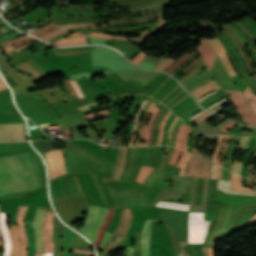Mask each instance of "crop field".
Listing matches in <instances>:
<instances>
[{
    "instance_id": "obj_1",
    "label": "crop field",
    "mask_w": 256,
    "mask_h": 256,
    "mask_svg": "<svg viewBox=\"0 0 256 256\" xmlns=\"http://www.w3.org/2000/svg\"><path fill=\"white\" fill-rule=\"evenodd\" d=\"M29 191L46 185L45 167L34 150L16 155ZM18 192L28 191L14 155L5 157ZM4 157H0V196L17 193Z\"/></svg>"
},
{
    "instance_id": "obj_2",
    "label": "crop field",
    "mask_w": 256,
    "mask_h": 256,
    "mask_svg": "<svg viewBox=\"0 0 256 256\" xmlns=\"http://www.w3.org/2000/svg\"><path fill=\"white\" fill-rule=\"evenodd\" d=\"M231 95V100L237 111L240 113L245 122L249 125H256V116L253 114L248 101L241 91H225Z\"/></svg>"
},
{
    "instance_id": "obj_3",
    "label": "crop field",
    "mask_w": 256,
    "mask_h": 256,
    "mask_svg": "<svg viewBox=\"0 0 256 256\" xmlns=\"http://www.w3.org/2000/svg\"><path fill=\"white\" fill-rule=\"evenodd\" d=\"M27 140L24 123L0 125V141Z\"/></svg>"
},
{
    "instance_id": "obj_4",
    "label": "crop field",
    "mask_w": 256,
    "mask_h": 256,
    "mask_svg": "<svg viewBox=\"0 0 256 256\" xmlns=\"http://www.w3.org/2000/svg\"><path fill=\"white\" fill-rule=\"evenodd\" d=\"M45 155L47 158L51 179L57 175L66 173L60 150L50 151Z\"/></svg>"
},
{
    "instance_id": "obj_5",
    "label": "crop field",
    "mask_w": 256,
    "mask_h": 256,
    "mask_svg": "<svg viewBox=\"0 0 256 256\" xmlns=\"http://www.w3.org/2000/svg\"><path fill=\"white\" fill-rule=\"evenodd\" d=\"M45 212V210L38 208L33 220V229L36 237V251L40 252H43L42 226Z\"/></svg>"
},
{
    "instance_id": "obj_6",
    "label": "crop field",
    "mask_w": 256,
    "mask_h": 256,
    "mask_svg": "<svg viewBox=\"0 0 256 256\" xmlns=\"http://www.w3.org/2000/svg\"><path fill=\"white\" fill-rule=\"evenodd\" d=\"M27 207L20 206L17 214V228H18V235L20 240V255L19 256H25L26 250H27V238L25 235L23 220L24 215Z\"/></svg>"
},
{
    "instance_id": "obj_7",
    "label": "crop field",
    "mask_w": 256,
    "mask_h": 256,
    "mask_svg": "<svg viewBox=\"0 0 256 256\" xmlns=\"http://www.w3.org/2000/svg\"><path fill=\"white\" fill-rule=\"evenodd\" d=\"M208 40L211 42L214 50L219 55L220 60H221L222 64L225 66L230 78L236 76V73H235V71H234V69H233V67H232V65H231V63H230V61H229V59L226 55V50L222 46L223 44L221 45L220 41L217 38H215L213 40H210V39H208Z\"/></svg>"
},
{
    "instance_id": "obj_8",
    "label": "crop field",
    "mask_w": 256,
    "mask_h": 256,
    "mask_svg": "<svg viewBox=\"0 0 256 256\" xmlns=\"http://www.w3.org/2000/svg\"><path fill=\"white\" fill-rule=\"evenodd\" d=\"M53 213L47 211L44 226H43V233H44V244H45V251L53 252V243H52V226H53Z\"/></svg>"
},
{
    "instance_id": "obj_9",
    "label": "crop field",
    "mask_w": 256,
    "mask_h": 256,
    "mask_svg": "<svg viewBox=\"0 0 256 256\" xmlns=\"http://www.w3.org/2000/svg\"><path fill=\"white\" fill-rule=\"evenodd\" d=\"M201 58L206 63L209 69H211L214 57L217 55L213 50L209 41L204 38L202 44L197 48Z\"/></svg>"
},
{
    "instance_id": "obj_10",
    "label": "crop field",
    "mask_w": 256,
    "mask_h": 256,
    "mask_svg": "<svg viewBox=\"0 0 256 256\" xmlns=\"http://www.w3.org/2000/svg\"><path fill=\"white\" fill-rule=\"evenodd\" d=\"M163 221V220H159ZM152 220H147L141 236L142 256H149V243L151 235Z\"/></svg>"
},
{
    "instance_id": "obj_11",
    "label": "crop field",
    "mask_w": 256,
    "mask_h": 256,
    "mask_svg": "<svg viewBox=\"0 0 256 256\" xmlns=\"http://www.w3.org/2000/svg\"><path fill=\"white\" fill-rule=\"evenodd\" d=\"M99 205H90L86 219L80 228V232L83 233L87 238L89 237L90 228L93 224L95 215L97 213Z\"/></svg>"
},
{
    "instance_id": "obj_12",
    "label": "crop field",
    "mask_w": 256,
    "mask_h": 256,
    "mask_svg": "<svg viewBox=\"0 0 256 256\" xmlns=\"http://www.w3.org/2000/svg\"><path fill=\"white\" fill-rule=\"evenodd\" d=\"M216 89H222V88L220 87V85L218 83H216L213 80V81H211V82H209V83H207L203 86H200V87H198V88H196V89H194L190 92L194 95V97L197 100V99L205 96L206 94H208V93H210V92H212Z\"/></svg>"
},
{
    "instance_id": "obj_13",
    "label": "crop field",
    "mask_w": 256,
    "mask_h": 256,
    "mask_svg": "<svg viewBox=\"0 0 256 256\" xmlns=\"http://www.w3.org/2000/svg\"><path fill=\"white\" fill-rule=\"evenodd\" d=\"M7 216L8 214L0 212V229L2 232V237L5 242V251L3 256H10V252H11V241L9 239L8 231L5 225V217Z\"/></svg>"
},
{
    "instance_id": "obj_14",
    "label": "crop field",
    "mask_w": 256,
    "mask_h": 256,
    "mask_svg": "<svg viewBox=\"0 0 256 256\" xmlns=\"http://www.w3.org/2000/svg\"><path fill=\"white\" fill-rule=\"evenodd\" d=\"M107 211H108V209L101 208V207L98 210L97 216L95 218V221L92 226L91 233H90V240L92 241V243H94V241H95L96 233L99 229V226L102 224Z\"/></svg>"
},
{
    "instance_id": "obj_15",
    "label": "crop field",
    "mask_w": 256,
    "mask_h": 256,
    "mask_svg": "<svg viewBox=\"0 0 256 256\" xmlns=\"http://www.w3.org/2000/svg\"><path fill=\"white\" fill-rule=\"evenodd\" d=\"M114 211H115V209H110L109 210V212H108V214H107L103 224L100 227V230H99V232L97 234V238H96V241H95V247L96 248H98L99 243H100V241H101V239H102V237L104 235V232H105L106 228L109 226V224L111 222V219H112V217L114 215Z\"/></svg>"
},
{
    "instance_id": "obj_16",
    "label": "crop field",
    "mask_w": 256,
    "mask_h": 256,
    "mask_svg": "<svg viewBox=\"0 0 256 256\" xmlns=\"http://www.w3.org/2000/svg\"><path fill=\"white\" fill-rule=\"evenodd\" d=\"M26 231L29 237L28 240V256L35 255V237L32 230V224L25 220Z\"/></svg>"
},
{
    "instance_id": "obj_17",
    "label": "crop field",
    "mask_w": 256,
    "mask_h": 256,
    "mask_svg": "<svg viewBox=\"0 0 256 256\" xmlns=\"http://www.w3.org/2000/svg\"><path fill=\"white\" fill-rule=\"evenodd\" d=\"M53 44L62 45V46L85 45L87 44V41H86V36H81V37L71 38V39L61 38L60 40H58Z\"/></svg>"
},
{
    "instance_id": "obj_18",
    "label": "crop field",
    "mask_w": 256,
    "mask_h": 256,
    "mask_svg": "<svg viewBox=\"0 0 256 256\" xmlns=\"http://www.w3.org/2000/svg\"><path fill=\"white\" fill-rule=\"evenodd\" d=\"M195 52H193L191 54L182 55L177 60H175L169 67H167L165 69V71L172 74L176 69H178L182 64H184L188 59H190Z\"/></svg>"
},
{
    "instance_id": "obj_19",
    "label": "crop field",
    "mask_w": 256,
    "mask_h": 256,
    "mask_svg": "<svg viewBox=\"0 0 256 256\" xmlns=\"http://www.w3.org/2000/svg\"><path fill=\"white\" fill-rule=\"evenodd\" d=\"M242 177H238L234 174H232L231 180H232V190L235 191H241V192H249V193H256V191H253L249 188L242 187Z\"/></svg>"
},
{
    "instance_id": "obj_20",
    "label": "crop field",
    "mask_w": 256,
    "mask_h": 256,
    "mask_svg": "<svg viewBox=\"0 0 256 256\" xmlns=\"http://www.w3.org/2000/svg\"><path fill=\"white\" fill-rule=\"evenodd\" d=\"M9 235H10V239H11L12 245H13L12 256H18L19 255V241H18L16 226H11V228H9Z\"/></svg>"
},
{
    "instance_id": "obj_21",
    "label": "crop field",
    "mask_w": 256,
    "mask_h": 256,
    "mask_svg": "<svg viewBox=\"0 0 256 256\" xmlns=\"http://www.w3.org/2000/svg\"><path fill=\"white\" fill-rule=\"evenodd\" d=\"M81 25H95V24H75V25H61V26H58L59 29H60V32L58 34H56L55 36L45 40V41H50L52 40L53 38L65 33V32H68V28H80V27H89V26H81ZM103 27H108L107 25H101L100 27H93V28H103Z\"/></svg>"
},
{
    "instance_id": "obj_22",
    "label": "crop field",
    "mask_w": 256,
    "mask_h": 256,
    "mask_svg": "<svg viewBox=\"0 0 256 256\" xmlns=\"http://www.w3.org/2000/svg\"><path fill=\"white\" fill-rule=\"evenodd\" d=\"M218 189L223 190L226 193L256 195V194H248V193H240V192L231 191V181L218 180Z\"/></svg>"
},
{
    "instance_id": "obj_23",
    "label": "crop field",
    "mask_w": 256,
    "mask_h": 256,
    "mask_svg": "<svg viewBox=\"0 0 256 256\" xmlns=\"http://www.w3.org/2000/svg\"><path fill=\"white\" fill-rule=\"evenodd\" d=\"M156 206H158V207H165V208H172V209H178V210H185V211H188V208H189V205L163 203V202H158Z\"/></svg>"
},
{
    "instance_id": "obj_24",
    "label": "crop field",
    "mask_w": 256,
    "mask_h": 256,
    "mask_svg": "<svg viewBox=\"0 0 256 256\" xmlns=\"http://www.w3.org/2000/svg\"><path fill=\"white\" fill-rule=\"evenodd\" d=\"M153 169L150 167H143L141 166L140 171L138 173V176L136 178V181H138L139 183H142V181L149 175V173L152 171Z\"/></svg>"
},
{
    "instance_id": "obj_25",
    "label": "crop field",
    "mask_w": 256,
    "mask_h": 256,
    "mask_svg": "<svg viewBox=\"0 0 256 256\" xmlns=\"http://www.w3.org/2000/svg\"><path fill=\"white\" fill-rule=\"evenodd\" d=\"M159 107L157 106H154L152 112H151V116L147 122V125H146V133H145V140H144V144L143 145H146L147 144V140H148V136H149V129H150V123L152 121V119L154 118V116L156 115L157 111H158Z\"/></svg>"
},
{
    "instance_id": "obj_26",
    "label": "crop field",
    "mask_w": 256,
    "mask_h": 256,
    "mask_svg": "<svg viewBox=\"0 0 256 256\" xmlns=\"http://www.w3.org/2000/svg\"><path fill=\"white\" fill-rule=\"evenodd\" d=\"M244 93H245L247 99L251 103V105H252V107H253V109L256 113V96L253 94V92L251 91L249 86L245 89Z\"/></svg>"
},
{
    "instance_id": "obj_27",
    "label": "crop field",
    "mask_w": 256,
    "mask_h": 256,
    "mask_svg": "<svg viewBox=\"0 0 256 256\" xmlns=\"http://www.w3.org/2000/svg\"><path fill=\"white\" fill-rule=\"evenodd\" d=\"M89 36L96 37V38H116V39H139V38H127V37H120V36H112V35H105L100 33H90Z\"/></svg>"
},
{
    "instance_id": "obj_28",
    "label": "crop field",
    "mask_w": 256,
    "mask_h": 256,
    "mask_svg": "<svg viewBox=\"0 0 256 256\" xmlns=\"http://www.w3.org/2000/svg\"><path fill=\"white\" fill-rule=\"evenodd\" d=\"M146 103H147V101L144 100L142 105H141V107H140V109H139V111H138V113H137V115H136L135 122H134V127H133V132H132V136H131V140H130V143L128 144V146H132V142H133V139H134V136H135V133H136L137 118L140 115V113H141V111H142V109H143V107L145 106Z\"/></svg>"
},
{
    "instance_id": "obj_29",
    "label": "crop field",
    "mask_w": 256,
    "mask_h": 256,
    "mask_svg": "<svg viewBox=\"0 0 256 256\" xmlns=\"http://www.w3.org/2000/svg\"><path fill=\"white\" fill-rule=\"evenodd\" d=\"M163 111V108H160L153 123L151 124V129H150V140H149V144L148 145H152V142H153V136H154V129H155V123L158 119V117L160 116V114L162 113Z\"/></svg>"
},
{
    "instance_id": "obj_30",
    "label": "crop field",
    "mask_w": 256,
    "mask_h": 256,
    "mask_svg": "<svg viewBox=\"0 0 256 256\" xmlns=\"http://www.w3.org/2000/svg\"><path fill=\"white\" fill-rule=\"evenodd\" d=\"M223 138H224L223 135H219V137H218V139H217L218 145L215 147V150H214L213 159H212L213 162L218 163L217 157H218V155H219V149H220L221 142H222Z\"/></svg>"
},
{
    "instance_id": "obj_31",
    "label": "crop field",
    "mask_w": 256,
    "mask_h": 256,
    "mask_svg": "<svg viewBox=\"0 0 256 256\" xmlns=\"http://www.w3.org/2000/svg\"><path fill=\"white\" fill-rule=\"evenodd\" d=\"M154 104H155V103L152 102V104L150 105V107H149V109H148V112H147V114H146V116H145V118H144L143 127H142V133H141V138H140V141H139V143H138L137 146H139V145L142 144V141H143V139H144L145 123H146V121H147V119H148V117H149L150 111H151L152 107L154 106Z\"/></svg>"
},
{
    "instance_id": "obj_32",
    "label": "crop field",
    "mask_w": 256,
    "mask_h": 256,
    "mask_svg": "<svg viewBox=\"0 0 256 256\" xmlns=\"http://www.w3.org/2000/svg\"><path fill=\"white\" fill-rule=\"evenodd\" d=\"M172 112L169 110V112L167 113V115L165 116V118L163 119L162 121V125H161V128H160V134H159V140H158V144L157 145H161V142H162V138H163V131H164V126L166 124V121L169 117V115L171 114Z\"/></svg>"
},
{
    "instance_id": "obj_33",
    "label": "crop field",
    "mask_w": 256,
    "mask_h": 256,
    "mask_svg": "<svg viewBox=\"0 0 256 256\" xmlns=\"http://www.w3.org/2000/svg\"><path fill=\"white\" fill-rule=\"evenodd\" d=\"M249 139H250V137H242V138L240 139L239 144H238L237 150L241 148L242 151H246L247 143H248Z\"/></svg>"
},
{
    "instance_id": "obj_34",
    "label": "crop field",
    "mask_w": 256,
    "mask_h": 256,
    "mask_svg": "<svg viewBox=\"0 0 256 256\" xmlns=\"http://www.w3.org/2000/svg\"><path fill=\"white\" fill-rule=\"evenodd\" d=\"M167 4H169V1H166V2H158V3H155V4H153V5L147 6V7H145V8H141V10L133 12V14H134V13H139V12L144 11V10H148V9H150V8H154V7H158V6H163V5H167ZM137 10H138V9H137ZM131 11H133V10H131ZM127 12H128V11H127Z\"/></svg>"
},
{
    "instance_id": "obj_35",
    "label": "crop field",
    "mask_w": 256,
    "mask_h": 256,
    "mask_svg": "<svg viewBox=\"0 0 256 256\" xmlns=\"http://www.w3.org/2000/svg\"><path fill=\"white\" fill-rule=\"evenodd\" d=\"M44 13H46V11L43 10V9H41V10H39V11H37V12H35V13L29 15L28 17H26V18H24V19H25L27 22H28V21H32L33 19L39 17L40 15H42V14H44Z\"/></svg>"
},
{
    "instance_id": "obj_36",
    "label": "crop field",
    "mask_w": 256,
    "mask_h": 256,
    "mask_svg": "<svg viewBox=\"0 0 256 256\" xmlns=\"http://www.w3.org/2000/svg\"><path fill=\"white\" fill-rule=\"evenodd\" d=\"M174 59H166L160 65H158L155 70L163 71L170 63H172Z\"/></svg>"
},
{
    "instance_id": "obj_37",
    "label": "crop field",
    "mask_w": 256,
    "mask_h": 256,
    "mask_svg": "<svg viewBox=\"0 0 256 256\" xmlns=\"http://www.w3.org/2000/svg\"><path fill=\"white\" fill-rule=\"evenodd\" d=\"M69 82H70L71 86L74 88V90L76 91L79 98H84L79 86L76 83V81L69 80Z\"/></svg>"
},
{
    "instance_id": "obj_38",
    "label": "crop field",
    "mask_w": 256,
    "mask_h": 256,
    "mask_svg": "<svg viewBox=\"0 0 256 256\" xmlns=\"http://www.w3.org/2000/svg\"><path fill=\"white\" fill-rule=\"evenodd\" d=\"M147 55L144 54L142 51L135 56L131 61H133L134 63L138 64L141 60H143Z\"/></svg>"
},
{
    "instance_id": "obj_39",
    "label": "crop field",
    "mask_w": 256,
    "mask_h": 256,
    "mask_svg": "<svg viewBox=\"0 0 256 256\" xmlns=\"http://www.w3.org/2000/svg\"><path fill=\"white\" fill-rule=\"evenodd\" d=\"M241 167H242V163L234 162L233 166H232V171L235 172V173L240 174L241 173Z\"/></svg>"
},
{
    "instance_id": "obj_40",
    "label": "crop field",
    "mask_w": 256,
    "mask_h": 256,
    "mask_svg": "<svg viewBox=\"0 0 256 256\" xmlns=\"http://www.w3.org/2000/svg\"><path fill=\"white\" fill-rule=\"evenodd\" d=\"M159 1H162V0H159ZM156 2H158V1H156ZM152 3H155V2H152ZM152 3H149V4H152ZM145 5H148V4H145ZM145 5L130 7V8L114 9L113 11L124 10V9H134V8L142 7ZM64 9H79V8H64ZM91 10H107V9H91ZM107 11H111V10H107Z\"/></svg>"
},
{
    "instance_id": "obj_41",
    "label": "crop field",
    "mask_w": 256,
    "mask_h": 256,
    "mask_svg": "<svg viewBox=\"0 0 256 256\" xmlns=\"http://www.w3.org/2000/svg\"><path fill=\"white\" fill-rule=\"evenodd\" d=\"M189 156H190V155L187 154V155H186V158H185V160H184V162H183L182 169H181V171H180V173H179V175H181V176H184V174H185L186 167H187L188 160H189Z\"/></svg>"
},
{
    "instance_id": "obj_42",
    "label": "crop field",
    "mask_w": 256,
    "mask_h": 256,
    "mask_svg": "<svg viewBox=\"0 0 256 256\" xmlns=\"http://www.w3.org/2000/svg\"><path fill=\"white\" fill-rule=\"evenodd\" d=\"M93 46H86V47H77V48H70V49H57L56 52H61V51H71V50H81V49H86L87 52H89V49H91Z\"/></svg>"
},
{
    "instance_id": "obj_43",
    "label": "crop field",
    "mask_w": 256,
    "mask_h": 256,
    "mask_svg": "<svg viewBox=\"0 0 256 256\" xmlns=\"http://www.w3.org/2000/svg\"><path fill=\"white\" fill-rule=\"evenodd\" d=\"M183 249L191 256H199L190 245H184Z\"/></svg>"
},
{
    "instance_id": "obj_44",
    "label": "crop field",
    "mask_w": 256,
    "mask_h": 256,
    "mask_svg": "<svg viewBox=\"0 0 256 256\" xmlns=\"http://www.w3.org/2000/svg\"><path fill=\"white\" fill-rule=\"evenodd\" d=\"M110 235H111V233L106 232V234H105V236H104V238H103V240H102L101 246H100V247H101V250L104 249V247H105V245H106V243H107V241H108Z\"/></svg>"
},
{
    "instance_id": "obj_45",
    "label": "crop field",
    "mask_w": 256,
    "mask_h": 256,
    "mask_svg": "<svg viewBox=\"0 0 256 256\" xmlns=\"http://www.w3.org/2000/svg\"><path fill=\"white\" fill-rule=\"evenodd\" d=\"M200 57L198 56V58L192 62L187 68H185L182 72L183 74H185L186 72H188L196 63H198L200 61Z\"/></svg>"
},
{
    "instance_id": "obj_46",
    "label": "crop field",
    "mask_w": 256,
    "mask_h": 256,
    "mask_svg": "<svg viewBox=\"0 0 256 256\" xmlns=\"http://www.w3.org/2000/svg\"><path fill=\"white\" fill-rule=\"evenodd\" d=\"M228 99H229V96H228V97H226L225 99L221 100L220 102H218V103L214 104L213 106L209 107L207 110H209V111H210V110H212V109L216 108L217 106H219V105H221V104L225 103Z\"/></svg>"
},
{
    "instance_id": "obj_47",
    "label": "crop field",
    "mask_w": 256,
    "mask_h": 256,
    "mask_svg": "<svg viewBox=\"0 0 256 256\" xmlns=\"http://www.w3.org/2000/svg\"><path fill=\"white\" fill-rule=\"evenodd\" d=\"M229 136H226L224 142H223V146H222V150H221V154H220V158H219V164L221 165V162H222V157H223V152H224V148H225V144L228 140Z\"/></svg>"
},
{
    "instance_id": "obj_48",
    "label": "crop field",
    "mask_w": 256,
    "mask_h": 256,
    "mask_svg": "<svg viewBox=\"0 0 256 256\" xmlns=\"http://www.w3.org/2000/svg\"><path fill=\"white\" fill-rule=\"evenodd\" d=\"M97 106H98L97 103H93V104H89V105L80 107V108H78V110L83 111V110H86V109H89V108H93V107H97Z\"/></svg>"
},
{
    "instance_id": "obj_49",
    "label": "crop field",
    "mask_w": 256,
    "mask_h": 256,
    "mask_svg": "<svg viewBox=\"0 0 256 256\" xmlns=\"http://www.w3.org/2000/svg\"><path fill=\"white\" fill-rule=\"evenodd\" d=\"M107 113H109V112H108V109H107V110H104V111L92 113V114H89V115H85V117H86V118H89V117H92V116L101 115V114H107Z\"/></svg>"
},
{
    "instance_id": "obj_50",
    "label": "crop field",
    "mask_w": 256,
    "mask_h": 256,
    "mask_svg": "<svg viewBox=\"0 0 256 256\" xmlns=\"http://www.w3.org/2000/svg\"><path fill=\"white\" fill-rule=\"evenodd\" d=\"M4 78H5V80L8 82V84L10 85V87L17 86V83L14 82L9 76L6 75Z\"/></svg>"
},
{
    "instance_id": "obj_51",
    "label": "crop field",
    "mask_w": 256,
    "mask_h": 256,
    "mask_svg": "<svg viewBox=\"0 0 256 256\" xmlns=\"http://www.w3.org/2000/svg\"><path fill=\"white\" fill-rule=\"evenodd\" d=\"M236 124L233 123H228L226 124L224 127L221 128V130L227 131L228 129H230L231 127L235 126Z\"/></svg>"
},
{
    "instance_id": "obj_52",
    "label": "crop field",
    "mask_w": 256,
    "mask_h": 256,
    "mask_svg": "<svg viewBox=\"0 0 256 256\" xmlns=\"http://www.w3.org/2000/svg\"><path fill=\"white\" fill-rule=\"evenodd\" d=\"M190 131H191V128H189L186 136H185V144H184V150H187V141H188V137H189V134H190Z\"/></svg>"
},
{
    "instance_id": "obj_53",
    "label": "crop field",
    "mask_w": 256,
    "mask_h": 256,
    "mask_svg": "<svg viewBox=\"0 0 256 256\" xmlns=\"http://www.w3.org/2000/svg\"><path fill=\"white\" fill-rule=\"evenodd\" d=\"M178 119H179V118L175 117V119H174V121H173V123H172V125H171V127H170V129H169L168 137H170V138H171V130H172V128L174 127V125L176 124V122L178 121Z\"/></svg>"
},
{
    "instance_id": "obj_54",
    "label": "crop field",
    "mask_w": 256,
    "mask_h": 256,
    "mask_svg": "<svg viewBox=\"0 0 256 256\" xmlns=\"http://www.w3.org/2000/svg\"><path fill=\"white\" fill-rule=\"evenodd\" d=\"M254 223H256V215L249 220V222L244 226V228Z\"/></svg>"
},
{
    "instance_id": "obj_55",
    "label": "crop field",
    "mask_w": 256,
    "mask_h": 256,
    "mask_svg": "<svg viewBox=\"0 0 256 256\" xmlns=\"http://www.w3.org/2000/svg\"><path fill=\"white\" fill-rule=\"evenodd\" d=\"M36 42H39V40L34 41V42H32V43H29V44H27V45H24V46H22V47H19V48H17L16 50L21 51V50L27 48L28 46H30V45H32V44H34V43H36Z\"/></svg>"
},
{
    "instance_id": "obj_56",
    "label": "crop field",
    "mask_w": 256,
    "mask_h": 256,
    "mask_svg": "<svg viewBox=\"0 0 256 256\" xmlns=\"http://www.w3.org/2000/svg\"><path fill=\"white\" fill-rule=\"evenodd\" d=\"M72 252H76V253H86V254H92L94 255L93 252H88V251H83V250H75V249H71Z\"/></svg>"
},
{
    "instance_id": "obj_57",
    "label": "crop field",
    "mask_w": 256,
    "mask_h": 256,
    "mask_svg": "<svg viewBox=\"0 0 256 256\" xmlns=\"http://www.w3.org/2000/svg\"><path fill=\"white\" fill-rule=\"evenodd\" d=\"M185 154H186V153L182 151V154H181V157H180V160H179L177 166H179V167L182 166V162H183V159H184Z\"/></svg>"
},
{
    "instance_id": "obj_58",
    "label": "crop field",
    "mask_w": 256,
    "mask_h": 256,
    "mask_svg": "<svg viewBox=\"0 0 256 256\" xmlns=\"http://www.w3.org/2000/svg\"><path fill=\"white\" fill-rule=\"evenodd\" d=\"M133 247H126V256H132Z\"/></svg>"
},
{
    "instance_id": "obj_59",
    "label": "crop field",
    "mask_w": 256,
    "mask_h": 256,
    "mask_svg": "<svg viewBox=\"0 0 256 256\" xmlns=\"http://www.w3.org/2000/svg\"><path fill=\"white\" fill-rule=\"evenodd\" d=\"M218 91H220V90H216V91H214V92H212V93L206 95L205 97H203V98H201V99H199V100H197V101L200 103V102L203 101L205 98H207V97L213 95L214 93H216V92H218Z\"/></svg>"
},
{
    "instance_id": "obj_60",
    "label": "crop field",
    "mask_w": 256,
    "mask_h": 256,
    "mask_svg": "<svg viewBox=\"0 0 256 256\" xmlns=\"http://www.w3.org/2000/svg\"><path fill=\"white\" fill-rule=\"evenodd\" d=\"M120 240V237L112 235L110 242H117Z\"/></svg>"
},
{
    "instance_id": "obj_61",
    "label": "crop field",
    "mask_w": 256,
    "mask_h": 256,
    "mask_svg": "<svg viewBox=\"0 0 256 256\" xmlns=\"http://www.w3.org/2000/svg\"><path fill=\"white\" fill-rule=\"evenodd\" d=\"M109 115H110V114L101 115V116H96V117L89 118L88 120H89V121H92V120H95V119H98V118L107 117V116H109Z\"/></svg>"
},
{
    "instance_id": "obj_62",
    "label": "crop field",
    "mask_w": 256,
    "mask_h": 256,
    "mask_svg": "<svg viewBox=\"0 0 256 256\" xmlns=\"http://www.w3.org/2000/svg\"><path fill=\"white\" fill-rule=\"evenodd\" d=\"M210 114H205V115H203V116H201V117H199L198 119H196V120H194L195 122H200L202 119H204V118H206L207 116H209Z\"/></svg>"
},
{
    "instance_id": "obj_63",
    "label": "crop field",
    "mask_w": 256,
    "mask_h": 256,
    "mask_svg": "<svg viewBox=\"0 0 256 256\" xmlns=\"http://www.w3.org/2000/svg\"><path fill=\"white\" fill-rule=\"evenodd\" d=\"M80 35H84V34H82L80 32H76V33L69 35L67 38L76 37V36H80Z\"/></svg>"
},
{
    "instance_id": "obj_64",
    "label": "crop field",
    "mask_w": 256,
    "mask_h": 256,
    "mask_svg": "<svg viewBox=\"0 0 256 256\" xmlns=\"http://www.w3.org/2000/svg\"><path fill=\"white\" fill-rule=\"evenodd\" d=\"M228 103H231V100H229L227 103H225V104L219 106L218 108H216V109H214V110H212V111H210V112L214 113V112L218 111L219 109H221L222 106H224V105H226V104H228Z\"/></svg>"
},
{
    "instance_id": "obj_65",
    "label": "crop field",
    "mask_w": 256,
    "mask_h": 256,
    "mask_svg": "<svg viewBox=\"0 0 256 256\" xmlns=\"http://www.w3.org/2000/svg\"><path fill=\"white\" fill-rule=\"evenodd\" d=\"M209 250V256H215L214 248H208Z\"/></svg>"
},
{
    "instance_id": "obj_66",
    "label": "crop field",
    "mask_w": 256,
    "mask_h": 256,
    "mask_svg": "<svg viewBox=\"0 0 256 256\" xmlns=\"http://www.w3.org/2000/svg\"><path fill=\"white\" fill-rule=\"evenodd\" d=\"M44 255V253H36V256H43ZM52 255V253H45V255L44 256H51Z\"/></svg>"
},
{
    "instance_id": "obj_67",
    "label": "crop field",
    "mask_w": 256,
    "mask_h": 256,
    "mask_svg": "<svg viewBox=\"0 0 256 256\" xmlns=\"http://www.w3.org/2000/svg\"><path fill=\"white\" fill-rule=\"evenodd\" d=\"M204 113H205V112L202 111V112L198 113L197 115L193 116L192 118H190V120H193V119H195V118H197V117L203 115Z\"/></svg>"
},
{
    "instance_id": "obj_68",
    "label": "crop field",
    "mask_w": 256,
    "mask_h": 256,
    "mask_svg": "<svg viewBox=\"0 0 256 256\" xmlns=\"http://www.w3.org/2000/svg\"><path fill=\"white\" fill-rule=\"evenodd\" d=\"M57 32H59V31L57 30V31H55V32H53V33H51V34H49V35H47V36H45V37H43V38H41V39L44 40V39H46V38H48V37H50V36L56 34Z\"/></svg>"
},
{
    "instance_id": "obj_69",
    "label": "crop field",
    "mask_w": 256,
    "mask_h": 256,
    "mask_svg": "<svg viewBox=\"0 0 256 256\" xmlns=\"http://www.w3.org/2000/svg\"><path fill=\"white\" fill-rule=\"evenodd\" d=\"M220 169H221V167H220V166H218L217 179H219Z\"/></svg>"
},
{
    "instance_id": "obj_70",
    "label": "crop field",
    "mask_w": 256,
    "mask_h": 256,
    "mask_svg": "<svg viewBox=\"0 0 256 256\" xmlns=\"http://www.w3.org/2000/svg\"><path fill=\"white\" fill-rule=\"evenodd\" d=\"M70 256H87V255L70 254Z\"/></svg>"
},
{
    "instance_id": "obj_71",
    "label": "crop field",
    "mask_w": 256,
    "mask_h": 256,
    "mask_svg": "<svg viewBox=\"0 0 256 256\" xmlns=\"http://www.w3.org/2000/svg\"><path fill=\"white\" fill-rule=\"evenodd\" d=\"M163 7H166V6H163ZM159 8H162V7H159ZM155 9H158V8H155ZM152 10H154V9H151V10H149V11H152ZM149 11H147V12H149ZM144 13V12H143ZM141 14V13H140ZM137 15H139V14H137Z\"/></svg>"
},
{
    "instance_id": "obj_72",
    "label": "crop field",
    "mask_w": 256,
    "mask_h": 256,
    "mask_svg": "<svg viewBox=\"0 0 256 256\" xmlns=\"http://www.w3.org/2000/svg\"><path fill=\"white\" fill-rule=\"evenodd\" d=\"M3 245L2 239H1V233H0V246Z\"/></svg>"
},
{
    "instance_id": "obj_73",
    "label": "crop field",
    "mask_w": 256,
    "mask_h": 256,
    "mask_svg": "<svg viewBox=\"0 0 256 256\" xmlns=\"http://www.w3.org/2000/svg\"><path fill=\"white\" fill-rule=\"evenodd\" d=\"M179 256H183V254L181 253Z\"/></svg>"
}]
</instances>
